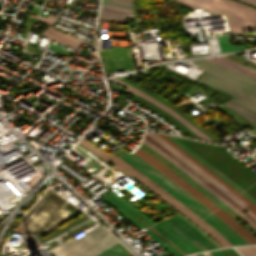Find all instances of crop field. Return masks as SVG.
<instances>
[{
  "label": "crop field",
  "instance_id": "obj_1",
  "mask_svg": "<svg viewBox=\"0 0 256 256\" xmlns=\"http://www.w3.org/2000/svg\"><path fill=\"white\" fill-rule=\"evenodd\" d=\"M192 62L206 70L197 82L236 97L228 102L256 117V78L204 59Z\"/></svg>",
  "mask_w": 256,
  "mask_h": 256
},
{
  "label": "crop field",
  "instance_id": "obj_2",
  "mask_svg": "<svg viewBox=\"0 0 256 256\" xmlns=\"http://www.w3.org/2000/svg\"><path fill=\"white\" fill-rule=\"evenodd\" d=\"M123 160L127 161L162 188L168 191L171 195L177 198L180 202L186 205L189 209L199 215L202 219L208 222L212 227H214L218 232H220L224 237H226L234 245L237 244H249L242 237H240L236 232H234L230 227H228L224 222H222L218 217L211 213L207 208L200 204L197 200L191 197L188 193L182 190L179 186L169 180L167 177L162 175L156 169L151 167L137 155L129 154L127 151L119 156Z\"/></svg>",
  "mask_w": 256,
  "mask_h": 256
},
{
  "label": "crop field",
  "instance_id": "obj_3",
  "mask_svg": "<svg viewBox=\"0 0 256 256\" xmlns=\"http://www.w3.org/2000/svg\"><path fill=\"white\" fill-rule=\"evenodd\" d=\"M151 166L156 168L162 174L167 176L177 185H179L182 189L188 192L191 196L197 199L200 203H202L205 207H207L211 212H213L216 216H218L221 220H223L227 225H229L233 230H235L239 235H241L245 240H247L250 244H256V238L247 230H245L241 225H239L232 217H230L226 212H224L220 207H218L214 202L204 196L201 192L195 189L192 185L166 167L164 164L156 160L154 157L149 155L140 147L134 152Z\"/></svg>",
  "mask_w": 256,
  "mask_h": 256
},
{
  "label": "crop field",
  "instance_id": "obj_4",
  "mask_svg": "<svg viewBox=\"0 0 256 256\" xmlns=\"http://www.w3.org/2000/svg\"><path fill=\"white\" fill-rule=\"evenodd\" d=\"M159 232L176 244L187 254L201 252L192 241H197L206 250L216 249L217 247L206 239L198 230L187 223L178 215L165 220L155 226Z\"/></svg>",
  "mask_w": 256,
  "mask_h": 256
},
{
  "label": "crop field",
  "instance_id": "obj_5",
  "mask_svg": "<svg viewBox=\"0 0 256 256\" xmlns=\"http://www.w3.org/2000/svg\"><path fill=\"white\" fill-rule=\"evenodd\" d=\"M102 227H97L79 239L74 237L50 251L54 256H93L116 243Z\"/></svg>",
  "mask_w": 256,
  "mask_h": 256
},
{
  "label": "crop field",
  "instance_id": "obj_6",
  "mask_svg": "<svg viewBox=\"0 0 256 256\" xmlns=\"http://www.w3.org/2000/svg\"><path fill=\"white\" fill-rule=\"evenodd\" d=\"M180 4L203 9L225 6L231 32L256 30V11L228 0H175Z\"/></svg>",
  "mask_w": 256,
  "mask_h": 256
},
{
  "label": "crop field",
  "instance_id": "obj_7",
  "mask_svg": "<svg viewBox=\"0 0 256 256\" xmlns=\"http://www.w3.org/2000/svg\"><path fill=\"white\" fill-rule=\"evenodd\" d=\"M81 145L85 146L86 148L90 149L91 151H93L94 153H96L97 155H99L100 157H102L103 159L107 160L108 162H110L111 164H113L114 166H116L117 168H119L120 170L130 174L131 176H133L134 178H136L137 180H139L141 183H143L146 187H148L149 189H151L153 192H155L157 195H159L161 198H163L164 200H166L168 203H170L171 205H173L175 208H177L179 211H181L183 214H185L187 217H189L191 220H193L195 223H197L201 228H203L210 236H212L218 243H220L223 247L225 246H229L226 242H224L219 236H217L214 232H212L206 225H204L202 222H200L198 219H196L195 217H193L191 214H189L187 211H185L183 208H181L179 205H177L174 201H172L170 198H168L165 194H163L161 191H159L154 185H152L148 180H146L145 178H143L142 176H140L139 174H137L136 172H134L133 170H131L129 167H127L125 164H123L121 161H119L118 159L108 155L107 153H105L103 150L99 149L98 147H96L95 145L91 144L90 142H88L87 140L83 139L80 141ZM192 221V222H193ZM196 224V225H197ZM202 229V230H203Z\"/></svg>",
  "mask_w": 256,
  "mask_h": 256
},
{
  "label": "crop field",
  "instance_id": "obj_8",
  "mask_svg": "<svg viewBox=\"0 0 256 256\" xmlns=\"http://www.w3.org/2000/svg\"><path fill=\"white\" fill-rule=\"evenodd\" d=\"M145 134L148 135L150 138H152L154 141H156L158 144H160L162 147H164L166 150H168L170 153H172L174 156H176L178 159H180L185 164H187L196 173L200 174L205 179H207L209 182H211L214 186H216L218 189H220L222 192H224L227 196H229L231 199H233L241 207L247 205L244 201H242L240 198H238L236 195H234L232 192H230L227 188H225L223 185H221L219 182H217L215 179H213L211 176H209L207 173H205L203 170H201L199 167H197L191 161H189L186 157H184L181 153H179L177 150H175L173 147H171L169 144H167L165 141H163L157 135H155L152 132H148V131H146Z\"/></svg>",
  "mask_w": 256,
  "mask_h": 256
},
{
  "label": "crop field",
  "instance_id": "obj_9",
  "mask_svg": "<svg viewBox=\"0 0 256 256\" xmlns=\"http://www.w3.org/2000/svg\"><path fill=\"white\" fill-rule=\"evenodd\" d=\"M101 198L104 201H106L107 203H109L114 209L118 210L120 213H122L124 216H126L129 220H131L138 227H142L143 225L132 217L136 214L141 216L143 219H145L151 225L155 224L149 218H147L145 215H143L138 210L133 208L129 203H127L125 200L120 198L118 195H116L112 191L105 194Z\"/></svg>",
  "mask_w": 256,
  "mask_h": 256
},
{
  "label": "crop field",
  "instance_id": "obj_10",
  "mask_svg": "<svg viewBox=\"0 0 256 256\" xmlns=\"http://www.w3.org/2000/svg\"><path fill=\"white\" fill-rule=\"evenodd\" d=\"M115 83H118L126 88L127 91L132 92L150 102H152L153 104L157 105L159 108H161L163 111H165L167 114H169L170 116H172L173 118H175L176 120H178L179 122H181L183 125H185L187 128H189L191 131H193L195 134H197L199 137H201L202 139L205 140H209L212 141L208 136H206L203 132H201L199 129H197L195 126H193L191 123H189L187 120H185L183 117H181L180 115H178L176 112H174L173 110H171L170 108H168L167 106H165L164 104H162L161 102L151 98L150 96L140 92L139 90L129 86L128 84L115 79V80H111ZM214 142V141H213Z\"/></svg>",
  "mask_w": 256,
  "mask_h": 256
},
{
  "label": "crop field",
  "instance_id": "obj_11",
  "mask_svg": "<svg viewBox=\"0 0 256 256\" xmlns=\"http://www.w3.org/2000/svg\"><path fill=\"white\" fill-rule=\"evenodd\" d=\"M144 143L149 145L151 148H153L156 152H158L160 155H162L164 158H166L168 161L173 163L175 166H177L179 169H181L183 172H185L187 175H189L191 178H193L195 181H197L200 185H202L206 190H208L210 193H212L214 196H216L218 199L223 201L225 204H227L229 207H231L233 210H235L241 217H243L251 226H253L256 229V224L250 220L248 217H246L243 213L240 212L239 209H237L235 206H233L230 202H228L225 198H223L221 195H219L216 191H214L211 187H209L207 184H205L202 180H200L198 177H196L194 174H192L189 170H187L185 167H183L181 164H179L177 161H175L173 158H171L169 155H167L165 152H163L161 149L147 141L146 139H143Z\"/></svg>",
  "mask_w": 256,
  "mask_h": 256
},
{
  "label": "crop field",
  "instance_id": "obj_12",
  "mask_svg": "<svg viewBox=\"0 0 256 256\" xmlns=\"http://www.w3.org/2000/svg\"><path fill=\"white\" fill-rule=\"evenodd\" d=\"M54 18H55V16H52V15H49L48 18L41 17V16L39 17V19H38L39 22L49 25L45 29V31L41 34V36L75 49L78 46V44L81 42V40H78L76 38H73V37L65 34V33H62V32H59L57 30L50 28Z\"/></svg>",
  "mask_w": 256,
  "mask_h": 256
},
{
  "label": "crop field",
  "instance_id": "obj_13",
  "mask_svg": "<svg viewBox=\"0 0 256 256\" xmlns=\"http://www.w3.org/2000/svg\"><path fill=\"white\" fill-rule=\"evenodd\" d=\"M157 135L160 136L162 139H164L166 142H168L170 145H172L174 148H176L184 156H186L188 159H190L192 162H194L196 165H198L200 168H202L204 171H206L208 174H210L213 178H215L217 181H219L221 184H223L225 187H227L230 191H232L234 194H236L238 197H240L246 203H248L249 205L246 206V208L249 209L254 215H256V206L254 204H252L245 197H243L240 193H238L236 190H234L231 186H229L227 183H225L223 180H221L219 177H217L215 174H213L211 171H209L207 168H205L203 165H201L199 162H197L195 159H193L187 153H185L182 149H180L177 145H175L167 137H165L164 135H161V134H157Z\"/></svg>",
  "mask_w": 256,
  "mask_h": 256
},
{
  "label": "crop field",
  "instance_id": "obj_14",
  "mask_svg": "<svg viewBox=\"0 0 256 256\" xmlns=\"http://www.w3.org/2000/svg\"><path fill=\"white\" fill-rule=\"evenodd\" d=\"M125 17L132 18V12L102 5L99 18L125 23Z\"/></svg>",
  "mask_w": 256,
  "mask_h": 256
},
{
  "label": "crop field",
  "instance_id": "obj_15",
  "mask_svg": "<svg viewBox=\"0 0 256 256\" xmlns=\"http://www.w3.org/2000/svg\"><path fill=\"white\" fill-rule=\"evenodd\" d=\"M116 158H118L116 155H112ZM121 160L120 158H118ZM123 163H125L127 166H129L131 169L148 179L152 184H154L159 190H161L163 193H165L168 197H170L172 200H174L177 204H179L181 207H183L185 210H187L189 213H191L193 216L198 218L200 221H202L204 224H206L212 231H214L216 234H218L223 240H225L230 246H233L228 240H226L222 235H220L214 228H212L208 223H206L204 220H202L200 217H198L195 213H193L191 210H189L186 206H184L182 203H180L177 199H175L173 196H171L168 192H166L164 189H162L160 186H158L156 183H154L152 180H150L148 177H146L144 174H142L140 171H138L136 168L133 166L129 165L125 161L121 160Z\"/></svg>",
  "mask_w": 256,
  "mask_h": 256
},
{
  "label": "crop field",
  "instance_id": "obj_16",
  "mask_svg": "<svg viewBox=\"0 0 256 256\" xmlns=\"http://www.w3.org/2000/svg\"><path fill=\"white\" fill-rule=\"evenodd\" d=\"M147 140L164 150L166 153H168L170 156H172L174 159H176L179 163H181L183 166H185L187 169H189L192 173H194L196 176H198L200 179H202L204 182H206L209 186H211L214 190H216L218 193H220L223 197H225L228 201H230L233 205H235L237 208H239L242 211V208L237 205L233 200H231L229 197H227L224 193H222L220 190H218L216 187H214L211 183H209L207 180H205L203 177L196 174L193 170H191L188 166H186L184 163H182L180 160H178L176 157H174L172 154H170L168 151H166L164 148H162L160 145H158L156 142H154L152 139H150L148 136H144ZM205 183V184H206ZM246 216H248L250 219H252L255 223L256 221L250 217L248 214H246L244 211H242Z\"/></svg>",
  "mask_w": 256,
  "mask_h": 256
},
{
  "label": "crop field",
  "instance_id": "obj_17",
  "mask_svg": "<svg viewBox=\"0 0 256 256\" xmlns=\"http://www.w3.org/2000/svg\"><path fill=\"white\" fill-rule=\"evenodd\" d=\"M129 252L118 242L96 256H126Z\"/></svg>",
  "mask_w": 256,
  "mask_h": 256
},
{
  "label": "crop field",
  "instance_id": "obj_18",
  "mask_svg": "<svg viewBox=\"0 0 256 256\" xmlns=\"http://www.w3.org/2000/svg\"><path fill=\"white\" fill-rule=\"evenodd\" d=\"M219 41V45L222 52L226 51H234V50H241L245 49L244 45H232L229 43L230 37L229 36H223V37H217Z\"/></svg>",
  "mask_w": 256,
  "mask_h": 256
},
{
  "label": "crop field",
  "instance_id": "obj_19",
  "mask_svg": "<svg viewBox=\"0 0 256 256\" xmlns=\"http://www.w3.org/2000/svg\"><path fill=\"white\" fill-rule=\"evenodd\" d=\"M169 136V135H168ZM174 141H176L179 145H181L183 148H185L187 151H189L191 154H193L195 157L200 159L202 162H204L206 165H208L210 168H212L214 171H216L218 174H220L222 177H224L226 180H228L230 183H232L235 187H237L239 190H241L244 194H246L249 198H251L254 202H256L251 196H249L244 190H242L239 186H237L234 182H232L230 179H228L226 176H224L222 173H220L218 170H216L214 167L206 163L204 160H202L200 157H198L195 153H193L191 150H189L186 146H184L181 142H179L176 138L173 136H170Z\"/></svg>",
  "mask_w": 256,
  "mask_h": 256
},
{
  "label": "crop field",
  "instance_id": "obj_20",
  "mask_svg": "<svg viewBox=\"0 0 256 256\" xmlns=\"http://www.w3.org/2000/svg\"><path fill=\"white\" fill-rule=\"evenodd\" d=\"M102 4L132 11L131 3L121 0H103Z\"/></svg>",
  "mask_w": 256,
  "mask_h": 256
},
{
  "label": "crop field",
  "instance_id": "obj_21",
  "mask_svg": "<svg viewBox=\"0 0 256 256\" xmlns=\"http://www.w3.org/2000/svg\"><path fill=\"white\" fill-rule=\"evenodd\" d=\"M149 235L152 236L153 239L159 241L168 251H170L174 256H180L181 254L178 253L176 250H174L172 247H170L169 245H166L164 242H162L161 238H159L157 235H155L152 231H150L149 229L145 230ZM158 242V243H159Z\"/></svg>",
  "mask_w": 256,
  "mask_h": 256
},
{
  "label": "crop field",
  "instance_id": "obj_22",
  "mask_svg": "<svg viewBox=\"0 0 256 256\" xmlns=\"http://www.w3.org/2000/svg\"><path fill=\"white\" fill-rule=\"evenodd\" d=\"M243 256H256V246L238 248Z\"/></svg>",
  "mask_w": 256,
  "mask_h": 256
},
{
  "label": "crop field",
  "instance_id": "obj_23",
  "mask_svg": "<svg viewBox=\"0 0 256 256\" xmlns=\"http://www.w3.org/2000/svg\"><path fill=\"white\" fill-rule=\"evenodd\" d=\"M223 105H225V106L231 108L232 110H234V111L240 113L241 115H243V116H245L246 118H248L249 120H251L254 124H256V118H255V117H253V116H251V115H249V114H247V113H245V112L239 110L238 108L232 106V105L229 104V103H225V104H223Z\"/></svg>",
  "mask_w": 256,
  "mask_h": 256
},
{
  "label": "crop field",
  "instance_id": "obj_24",
  "mask_svg": "<svg viewBox=\"0 0 256 256\" xmlns=\"http://www.w3.org/2000/svg\"><path fill=\"white\" fill-rule=\"evenodd\" d=\"M221 251L225 256H239L232 248L222 249Z\"/></svg>",
  "mask_w": 256,
  "mask_h": 256
},
{
  "label": "crop field",
  "instance_id": "obj_25",
  "mask_svg": "<svg viewBox=\"0 0 256 256\" xmlns=\"http://www.w3.org/2000/svg\"><path fill=\"white\" fill-rule=\"evenodd\" d=\"M242 1L244 3H247L249 5L255 6L256 7V0H239Z\"/></svg>",
  "mask_w": 256,
  "mask_h": 256
},
{
  "label": "crop field",
  "instance_id": "obj_26",
  "mask_svg": "<svg viewBox=\"0 0 256 256\" xmlns=\"http://www.w3.org/2000/svg\"><path fill=\"white\" fill-rule=\"evenodd\" d=\"M212 256H224L219 250L210 251L209 252Z\"/></svg>",
  "mask_w": 256,
  "mask_h": 256
},
{
  "label": "crop field",
  "instance_id": "obj_27",
  "mask_svg": "<svg viewBox=\"0 0 256 256\" xmlns=\"http://www.w3.org/2000/svg\"><path fill=\"white\" fill-rule=\"evenodd\" d=\"M197 256H204L202 253H200V254H197Z\"/></svg>",
  "mask_w": 256,
  "mask_h": 256
},
{
  "label": "crop field",
  "instance_id": "obj_28",
  "mask_svg": "<svg viewBox=\"0 0 256 256\" xmlns=\"http://www.w3.org/2000/svg\"><path fill=\"white\" fill-rule=\"evenodd\" d=\"M126 1H130L131 2V0H126Z\"/></svg>",
  "mask_w": 256,
  "mask_h": 256
},
{
  "label": "crop field",
  "instance_id": "obj_29",
  "mask_svg": "<svg viewBox=\"0 0 256 256\" xmlns=\"http://www.w3.org/2000/svg\"><path fill=\"white\" fill-rule=\"evenodd\" d=\"M128 256H132V255L130 254V255H128Z\"/></svg>",
  "mask_w": 256,
  "mask_h": 256
},
{
  "label": "crop field",
  "instance_id": "obj_30",
  "mask_svg": "<svg viewBox=\"0 0 256 256\" xmlns=\"http://www.w3.org/2000/svg\"><path fill=\"white\" fill-rule=\"evenodd\" d=\"M192 256H196V255H192Z\"/></svg>",
  "mask_w": 256,
  "mask_h": 256
}]
</instances>
